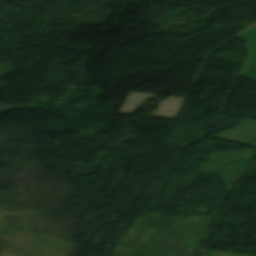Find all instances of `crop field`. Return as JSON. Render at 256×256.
I'll return each instance as SVG.
<instances>
[{
  "label": "crop field",
  "mask_w": 256,
  "mask_h": 256,
  "mask_svg": "<svg viewBox=\"0 0 256 256\" xmlns=\"http://www.w3.org/2000/svg\"><path fill=\"white\" fill-rule=\"evenodd\" d=\"M247 119H244L236 128L232 129V130H229L227 132H224V133H221V134H218L216 135L215 137L216 138H220V139H224V140H228V141H232L234 142L236 137L238 136V134L240 133L241 129L243 128V126L245 125ZM248 124L247 126L245 127L244 131L242 132L241 136L239 137L238 141L236 143H239L241 138L243 137L244 133L246 132L247 128L249 127L250 123H252L251 127L249 128L248 132L246 133L245 137L243 138L242 142L240 144H244L246 139L248 138L249 134L251 133L252 129L254 128L256 122L255 121H251V120H248ZM256 134V128L254 129L253 133L251 134L250 138L248 139L247 143L244 144V145H248V146H252V147H256L254 146L255 143H256V137L255 139L253 140L252 144H250L251 140L253 139L254 135Z\"/></svg>",
  "instance_id": "8a807250"
},
{
  "label": "crop field",
  "mask_w": 256,
  "mask_h": 256,
  "mask_svg": "<svg viewBox=\"0 0 256 256\" xmlns=\"http://www.w3.org/2000/svg\"><path fill=\"white\" fill-rule=\"evenodd\" d=\"M251 55L247 60L241 76L256 80V40L250 42Z\"/></svg>",
  "instance_id": "ac0d7876"
},
{
  "label": "crop field",
  "mask_w": 256,
  "mask_h": 256,
  "mask_svg": "<svg viewBox=\"0 0 256 256\" xmlns=\"http://www.w3.org/2000/svg\"><path fill=\"white\" fill-rule=\"evenodd\" d=\"M238 38H241L243 40L249 41L254 38H256V25L253 26L252 28L248 29L244 33L238 36Z\"/></svg>",
  "instance_id": "34b2d1b8"
}]
</instances>
